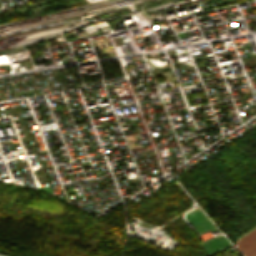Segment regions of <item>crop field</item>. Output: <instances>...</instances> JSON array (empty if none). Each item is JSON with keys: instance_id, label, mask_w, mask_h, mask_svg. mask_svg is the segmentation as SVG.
Here are the masks:
<instances>
[{"instance_id": "1", "label": "crop field", "mask_w": 256, "mask_h": 256, "mask_svg": "<svg viewBox=\"0 0 256 256\" xmlns=\"http://www.w3.org/2000/svg\"><path fill=\"white\" fill-rule=\"evenodd\" d=\"M238 248L245 256H256V228L238 240Z\"/></svg>"}]
</instances>
